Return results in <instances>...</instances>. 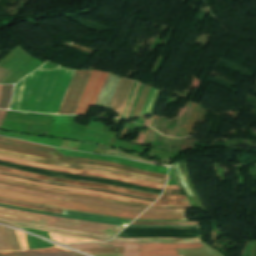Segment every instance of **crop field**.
<instances>
[{
    "mask_svg": "<svg viewBox=\"0 0 256 256\" xmlns=\"http://www.w3.org/2000/svg\"><path fill=\"white\" fill-rule=\"evenodd\" d=\"M38 70V69H37ZM75 70H38L16 84L10 109L58 114ZM91 70H76L59 114H74Z\"/></svg>",
    "mask_w": 256,
    "mask_h": 256,
    "instance_id": "8a807250",
    "label": "crop field"
},
{
    "mask_svg": "<svg viewBox=\"0 0 256 256\" xmlns=\"http://www.w3.org/2000/svg\"><path fill=\"white\" fill-rule=\"evenodd\" d=\"M0 217L30 222V223H35V224H40L45 226L66 228V229H72L76 231L91 232L95 234L108 235V236H114L117 233H119L122 229H124L121 227H116L111 225L92 223V222L73 220V219L50 217L45 215L5 209L1 207H0Z\"/></svg>",
    "mask_w": 256,
    "mask_h": 256,
    "instance_id": "ac0d7876",
    "label": "crop field"
},
{
    "mask_svg": "<svg viewBox=\"0 0 256 256\" xmlns=\"http://www.w3.org/2000/svg\"><path fill=\"white\" fill-rule=\"evenodd\" d=\"M0 149L19 152V153H23V154H27V155L44 157V158L74 162V163L111 167V168H116V169L132 172V173H137V174H142V175H146V176H150V177L160 178V179H164V180H166V178H167V175L149 173V172H145L142 170L122 166L120 164L109 163V162L98 161V160L75 159V158L64 157L55 148L38 145V144H33V143L20 141V140H13V139H7V138L0 137Z\"/></svg>",
    "mask_w": 256,
    "mask_h": 256,
    "instance_id": "34b2d1b8",
    "label": "crop field"
},
{
    "mask_svg": "<svg viewBox=\"0 0 256 256\" xmlns=\"http://www.w3.org/2000/svg\"><path fill=\"white\" fill-rule=\"evenodd\" d=\"M70 246H73L79 249L99 248V247H121L122 254H120V256H140L141 244L93 243V244H75ZM196 247H201V245L200 244H142L141 255L172 253L177 249L196 248ZM80 251H83L89 254L121 253L120 248H100V249H87V250H80ZM148 256H177V252L173 254L148 255ZM180 256H183V255H180Z\"/></svg>",
    "mask_w": 256,
    "mask_h": 256,
    "instance_id": "412701ff",
    "label": "crop field"
},
{
    "mask_svg": "<svg viewBox=\"0 0 256 256\" xmlns=\"http://www.w3.org/2000/svg\"><path fill=\"white\" fill-rule=\"evenodd\" d=\"M0 197L38 203V204H44V205H52V206H57L61 208L97 212V213H103V214H108L112 216L132 218V219H134L136 216L140 214L138 212H129V211L97 207V206L78 204V203H71V202H65V201H59V200L37 198V197L27 196L19 193L4 191L1 189H0Z\"/></svg>",
    "mask_w": 256,
    "mask_h": 256,
    "instance_id": "f4fd0767",
    "label": "crop field"
},
{
    "mask_svg": "<svg viewBox=\"0 0 256 256\" xmlns=\"http://www.w3.org/2000/svg\"><path fill=\"white\" fill-rule=\"evenodd\" d=\"M0 154L1 155H5V156H9V157L29 160V161L36 162V163H46V164H50V165H54V166H59V167L70 168V169L93 170V171L105 172V173L125 176V177L132 178V179H137V180H143V181H147V182L157 183V184H161V185H164L165 182H166V181H163V180L148 178V177H144V176H141V175L127 173V172H123V171H119V170H115V169H110V168L97 167V166H88V165L70 164V163H66V162L50 160V159H44V158L33 157V156H27V155H22V154H18V153H14V152L3 151V150H0Z\"/></svg>",
    "mask_w": 256,
    "mask_h": 256,
    "instance_id": "dd49c442",
    "label": "crop field"
},
{
    "mask_svg": "<svg viewBox=\"0 0 256 256\" xmlns=\"http://www.w3.org/2000/svg\"><path fill=\"white\" fill-rule=\"evenodd\" d=\"M0 171L7 172V173H13V174H17V175H20V176L30 177V178H34V179H38V180L54 182V183H66V184H71V185H76V186H86V187H92V188H98V189H109V190H114V191L130 194V195L140 196V197H147V198L157 199L158 196H159V195H156V194H148V193H143V192L130 190V189H125V188H120V187H115V186L96 184V183H88V182H81V181L65 180V179H59V178L44 176V175L32 174V173L19 171V170H14V169L5 168V167H0Z\"/></svg>",
    "mask_w": 256,
    "mask_h": 256,
    "instance_id": "e52e79f7",
    "label": "crop field"
},
{
    "mask_svg": "<svg viewBox=\"0 0 256 256\" xmlns=\"http://www.w3.org/2000/svg\"><path fill=\"white\" fill-rule=\"evenodd\" d=\"M0 180L14 182V183H18V184L29 185V186L37 187V188L55 190V191L69 192V193L89 195V196H95V197L110 198V199H114V200H118V201L130 202V203L139 204V205H150L152 203V202H148V201H141V200L126 198V197H121V196H115V195H111V194H107V193L74 189V188H63V187H58V186H50V185L30 182V181H26V180H22V179H18V178L5 177V176H1V175H0Z\"/></svg>",
    "mask_w": 256,
    "mask_h": 256,
    "instance_id": "d8731c3e",
    "label": "crop field"
},
{
    "mask_svg": "<svg viewBox=\"0 0 256 256\" xmlns=\"http://www.w3.org/2000/svg\"><path fill=\"white\" fill-rule=\"evenodd\" d=\"M0 160L17 163V164H21V165H26V166H30V167H34V168H41V169H45V170L58 171V172L71 173V174H79V175L97 176V177L125 181V182H129V183H133V184H138V185H143V186L158 188V189L164 188V186H161V185H156V184L147 183V182H143V181L132 180V179H128V178H124V177H120V176L109 175V174H105V173L76 171V170L47 166L44 164H36V163L29 162V161L18 160V159L3 157V156H0Z\"/></svg>",
    "mask_w": 256,
    "mask_h": 256,
    "instance_id": "5a996713",
    "label": "crop field"
},
{
    "mask_svg": "<svg viewBox=\"0 0 256 256\" xmlns=\"http://www.w3.org/2000/svg\"><path fill=\"white\" fill-rule=\"evenodd\" d=\"M0 188L4 189V190L20 192V193L34 195V196H38V197L66 200V201L85 203V204L104 206V207H112V208L124 209V210H129V211L142 212L146 209V208L128 207V206H124V205H120V204L107 203V202H101V201H95V200H88V199H81V198H75V197H69V196L43 193V192H38V191H33V190H28V189H23V188H17V187H13V186H9V185H4V184H0Z\"/></svg>",
    "mask_w": 256,
    "mask_h": 256,
    "instance_id": "3316defc",
    "label": "crop field"
},
{
    "mask_svg": "<svg viewBox=\"0 0 256 256\" xmlns=\"http://www.w3.org/2000/svg\"><path fill=\"white\" fill-rule=\"evenodd\" d=\"M108 73L93 70L87 86L81 96L80 102L75 114L85 115L89 105L94 106L98 93L104 83Z\"/></svg>",
    "mask_w": 256,
    "mask_h": 256,
    "instance_id": "28ad6ade",
    "label": "crop field"
},
{
    "mask_svg": "<svg viewBox=\"0 0 256 256\" xmlns=\"http://www.w3.org/2000/svg\"><path fill=\"white\" fill-rule=\"evenodd\" d=\"M59 151L62 152L64 155L70 156V157L91 158V159H99V160H105L110 162H116V163H120L130 167L139 168V169L150 171V172L162 173V174H167V169H168L167 167H155V166H150V165H146V164H142L139 162L130 161L122 158H113V157H107V156H99V155H92V154L71 152V151H64V150H59Z\"/></svg>",
    "mask_w": 256,
    "mask_h": 256,
    "instance_id": "d1516ede",
    "label": "crop field"
},
{
    "mask_svg": "<svg viewBox=\"0 0 256 256\" xmlns=\"http://www.w3.org/2000/svg\"><path fill=\"white\" fill-rule=\"evenodd\" d=\"M0 221H4V222L10 223V224H13L20 228L45 230V231L57 232V233L66 234V235H70V236H76V237H82V238H88V239H94V240H100V241H106V240H109L112 238V237H108V236H99V235H94V234H90V233L76 232V231H72V230L51 228V227H45V226H40V225H35V224H30V223L12 221V220H7V219H3V218H0Z\"/></svg>",
    "mask_w": 256,
    "mask_h": 256,
    "instance_id": "22f410ed",
    "label": "crop field"
},
{
    "mask_svg": "<svg viewBox=\"0 0 256 256\" xmlns=\"http://www.w3.org/2000/svg\"><path fill=\"white\" fill-rule=\"evenodd\" d=\"M15 232L20 244V250L0 251V256L38 255V254H49V253L70 251L62 247L56 246L54 244H53L54 248L28 250L25 234L18 230H15Z\"/></svg>",
    "mask_w": 256,
    "mask_h": 256,
    "instance_id": "cbeb9de0",
    "label": "crop field"
},
{
    "mask_svg": "<svg viewBox=\"0 0 256 256\" xmlns=\"http://www.w3.org/2000/svg\"><path fill=\"white\" fill-rule=\"evenodd\" d=\"M121 80V77L109 73L95 105L103 107L104 104H107L110 108Z\"/></svg>",
    "mask_w": 256,
    "mask_h": 256,
    "instance_id": "5142ce71",
    "label": "crop field"
},
{
    "mask_svg": "<svg viewBox=\"0 0 256 256\" xmlns=\"http://www.w3.org/2000/svg\"><path fill=\"white\" fill-rule=\"evenodd\" d=\"M134 81L124 78L113 101L110 109L118 114L117 118H120L121 113L124 109L125 103L127 101L128 95L132 88Z\"/></svg>",
    "mask_w": 256,
    "mask_h": 256,
    "instance_id": "d9b57169",
    "label": "crop field"
},
{
    "mask_svg": "<svg viewBox=\"0 0 256 256\" xmlns=\"http://www.w3.org/2000/svg\"><path fill=\"white\" fill-rule=\"evenodd\" d=\"M111 242H155V243H200L199 239H167V238H113Z\"/></svg>",
    "mask_w": 256,
    "mask_h": 256,
    "instance_id": "733c2abd",
    "label": "crop field"
},
{
    "mask_svg": "<svg viewBox=\"0 0 256 256\" xmlns=\"http://www.w3.org/2000/svg\"><path fill=\"white\" fill-rule=\"evenodd\" d=\"M0 183L9 184V185L18 186V187H23V188H28V189H33V190H38V191H43V192L62 194V195H69V196L82 197V198H88V199H95V200H101V201H107V202L121 203V204L129 205V206L146 207V208H148V206L133 205V204L118 202V201H114V200H110V199L95 198V197H89V196H82V195H75V194H68V193H60V192L41 190V189H36V188L29 187V186L18 185V184L9 183V182H3V181H0Z\"/></svg>",
    "mask_w": 256,
    "mask_h": 256,
    "instance_id": "4a817a6b",
    "label": "crop field"
},
{
    "mask_svg": "<svg viewBox=\"0 0 256 256\" xmlns=\"http://www.w3.org/2000/svg\"><path fill=\"white\" fill-rule=\"evenodd\" d=\"M137 219L187 220L185 214H145V213L140 215Z\"/></svg>",
    "mask_w": 256,
    "mask_h": 256,
    "instance_id": "bc2a9ffb",
    "label": "crop field"
},
{
    "mask_svg": "<svg viewBox=\"0 0 256 256\" xmlns=\"http://www.w3.org/2000/svg\"><path fill=\"white\" fill-rule=\"evenodd\" d=\"M48 233H49V236L52 240L60 242L62 244L97 242V241H94V240H87V239L69 237V236L59 235V234L50 233V232H48Z\"/></svg>",
    "mask_w": 256,
    "mask_h": 256,
    "instance_id": "214f88e0",
    "label": "crop field"
},
{
    "mask_svg": "<svg viewBox=\"0 0 256 256\" xmlns=\"http://www.w3.org/2000/svg\"><path fill=\"white\" fill-rule=\"evenodd\" d=\"M156 204H189L185 196L162 195Z\"/></svg>",
    "mask_w": 256,
    "mask_h": 256,
    "instance_id": "92a150f3",
    "label": "crop field"
},
{
    "mask_svg": "<svg viewBox=\"0 0 256 256\" xmlns=\"http://www.w3.org/2000/svg\"><path fill=\"white\" fill-rule=\"evenodd\" d=\"M0 204H6V205L17 206V207L28 208V209L39 210V211H45V212H52V213H59V214L62 213V210H55V209H50V208L41 207V206L26 205V204H21V203L5 201V200H1V199H0Z\"/></svg>",
    "mask_w": 256,
    "mask_h": 256,
    "instance_id": "dafd665d",
    "label": "crop field"
},
{
    "mask_svg": "<svg viewBox=\"0 0 256 256\" xmlns=\"http://www.w3.org/2000/svg\"><path fill=\"white\" fill-rule=\"evenodd\" d=\"M0 174H2V175H7V176H12V177H18V178H22V179H26V180H32V181L41 182V183H45V184L59 185V186H64V187L82 188V187L70 186V185H65V184H54V183H48V182L38 181V180H34V179H30V178H25V177H20V176L12 175V174H6V173H2V172H0ZM82 189H88V190H94V191L107 192V193H112V194H116V195L127 196V197L136 198V199H142V200L155 201L154 199H147V198L134 197V196L124 195V194H119V193H114V192H109V191H103V190H97V189H89V188H82Z\"/></svg>",
    "mask_w": 256,
    "mask_h": 256,
    "instance_id": "00972430",
    "label": "crop field"
},
{
    "mask_svg": "<svg viewBox=\"0 0 256 256\" xmlns=\"http://www.w3.org/2000/svg\"><path fill=\"white\" fill-rule=\"evenodd\" d=\"M13 90V85H6L2 87L1 97H0V108L1 109H7L8 104L11 99Z\"/></svg>",
    "mask_w": 256,
    "mask_h": 256,
    "instance_id": "a9b5d70f",
    "label": "crop field"
},
{
    "mask_svg": "<svg viewBox=\"0 0 256 256\" xmlns=\"http://www.w3.org/2000/svg\"><path fill=\"white\" fill-rule=\"evenodd\" d=\"M0 206H2V207H7V208H11V209H17V210H24V211H30V212H37V213H42V214H45V215H51V216H57V217H65V218H73V219H80V220L93 221V222H101V223L113 224V225H118V226H123V227H126V226H127V225H125V224H118V223H112V222H106V221L91 220V219H83V218H76V217H70V216H64V215H58V214L44 213V212L33 211V210H27V209L16 208V207L5 206V205H0Z\"/></svg>",
    "mask_w": 256,
    "mask_h": 256,
    "instance_id": "4177f3b9",
    "label": "crop field"
},
{
    "mask_svg": "<svg viewBox=\"0 0 256 256\" xmlns=\"http://www.w3.org/2000/svg\"><path fill=\"white\" fill-rule=\"evenodd\" d=\"M133 225H198V222H136Z\"/></svg>",
    "mask_w": 256,
    "mask_h": 256,
    "instance_id": "730fd06b",
    "label": "crop field"
},
{
    "mask_svg": "<svg viewBox=\"0 0 256 256\" xmlns=\"http://www.w3.org/2000/svg\"><path fill=\"white\" fill-rule=\"evenodd\" d=\"M149 88H150L149 86H146V85L143 86V89H142V91L140 93V96L138 98L137 106H136V109L134 111L133 116H138L139 115L140 110H141L142 105H143V102H144V99L147 95V92H148Z\"/></svg>",
    "mask_w": 256,
    "mask_h": 256,
    "instance_id": "eef30255",
    "label": "crop field"
},
{
    "mask_svg": "<svg viewBox=\"0 0 256 256\" xmlns=\"http://www.w3.org/2000/svg\"><path fill=\"white\" fill-rule=\"evenodd\" d=\"M4 227L6 229V232H7L8 236H9L12 248L13 249H19L18 241H17L14 230L10 227H7V226H4Z\"/></svg>",
    "mask_w": 256,
    "mask_h": 256,
    "instance_id": "ae1a2a85",
    "label": "crop field"
},
{
    "mask_svg": "<svg viewBox=\"0 0 256 256\" xmlns=\"http://www.w3.org/2000/svg\"><path fill=\"white\" fill-rule=\"evenodd\" d=\"M127 227H140V228H198V226H132Z\"/></svg>",
    "mask_w": 256,
    "mask_h": 256,
    "instance_id": "d3111659",
    "label": "crop field"
},
{
    "mask_svg": "<svg viewBox=\"0 0 256 256\" xmlns=\"http://www.w3.org/2000/svg\"><path fill=\"white\" fill-rule=\"evenodd\" d=\"M186 209L183 210H159V209H147L144 212L150 213H185Z\"/></svg>",
    "mask_w": 256,
    "mask_h": 256,
    "instance_id": "750c4746",
    "label": "crop field"
},
{
    "mask_svg": "<svg viewBox=\"0 0 256 256\" xmlns=\"http://www.w3.org/2000/svg\"><path fill=\"white\" fill-rule=\"evenodd\" d=\"M11 74L10 71L0 67V83Z\"/></svg>",
    "mask_w": 256,
    "mask_h": 256,
    "instance_id": "bd1437ed",
    "label": "crop field"
},
{
    "mask_svg": "<svg viewBox=\"0 0 256 256\" xmlns=\"http://www.w3.org/2000/svg\"><path fill=\"white\" fill-rule=\"evenodd\" d=\"M72 253H75L73 251H71ZM70 252H65V253H57V254H49V255H39V256H77L75 254H78V253H75V254H72ZM80 256H84V255H81V254H78Z\"/></svg>",
    "mask_w": 256,
    "mask_h": 256,
    "instance_id": "1d83c4d3",
    "label": "crop field"
},
{
    "mask_svg": "<svg viewBox=\"0 0 256 256\" xmlns=\"http://www.w3.org/2000/svg\"><path fill=\"white\" fill-rule=\"evenodd\" d=\"M0 232H1L2 236H3V238H4V241L6 243L7 249H12L11 246H10V243H9L8 236H7V234H6V232H5L3 227H0Z\"/></svg>",
    "mask_w": 256,
    "mask_h": 256,
    "instance_id": "120bbe31",
    "label": "crop field"
},
{
    "mask_svg": "<svg viewBox=\"0 0 256 256\" xmlns=\"http://www.w3.org/2000/svg\"><path fill=\"white\" fill-rule=\"evenodd\" d=\"M139 85H140V83L138 82V83H137V85H136V88H135V90H134V93H133V95H132V99H131V103H130L129 110H128V112H127V114H126L125 118H124L125 120L127 119V116H128V114H129V111H130L131 105H132V103H133V100H134V98H135V94H136V91H137V89H138Z\"/></svg>",
    "mask_w": 256,
    "mask_h": 256,
    "instance_id": "d32e631a",
    "label": "crop field"
},
{
    "mask_svg": "<svg viewBox=\"0 0 256 256\" xmlns=\"http://www.w3.org/2000/svg\"><path fill=\"white\" fill-rule=\"evenodd\" d=\"M163 194L183 195L180 191H174V190H164Z\"/></svg>",
    "mask_w": 256,
    "mask_h": 256,
    "instance_id": "5866460e",
    "label": "crop field"
},
{
    "mask_svg": "<svg viewBox=\"0 0 256 256\" xmlns=\"http://www.w3.org/2000/svg\"><path fill=\"white\" fill-rule=\"evenodd\" d=\"M149 208H160V209H182V208H192V207H153V206H150Z\"/></svg>",
    "mask_w": 256,
    "mask_h": 256,
    "instance_id": "028f5c9d",
    "label": "crop field"
},
{
    "mask_svg": "<svg viewBox=\"0 0 256 256\" xmlns=\"http://www.w3.org/2000/svg\"><path fill=\"white\" fill-rule=\"evenodd\" d=\"M6 112L7 111L0 110V128H1L2 122H3L4 118H5Z\"/></svg>",
    "mask_w": 256,
    "mask_h": 256,
    "instance_id": "e1f06a70",
    "label": "crop field"
},
{
    "mask_svg": "<svg viewBox=\"0 0 256 256\" xmlns=\"http://www.w3.org/2000/svg\"><path fill=\"white\" fill-rule=\"evenodd\" d=\"M3 199V198H2ZM8 200V199H7ZM13 201V200H12ZM16 202H19V201H16ZM21 203H25V202H21ZM26 204H32V203H26ZM33 205H38V204H33ZM41 206H44V205H41ZM49 207V206H47ZM52 208H55V207H52ZM56 209H61V208H56ZM65 210H68V209H65ZM69 211H76V210H69ZM76 212H83V211H76ZM85 213H88V212H85ZM94 214V213H92ZM99 215V214H98ZM104 216V215H103ZM110 217V216H108ZM118 218V217H117ZM121 219H125V218H121ZM131 220V219H130Z\"/></svg>",
    "mask_w": 256,
    "mask_h": 256,
    "instance_id": "0bd39190",
    "label": "crop field"
},
{
    "mask_svg": "<svg viewBox=\"0 0 256 256\" xmlns=\"http://www.w3.org/2000/svg\"><path fill=\"white\" fill-rule=\"evenodd\" d=\"M0 250H7L1 234H0Z\"/></svg>",
    "mask_w": 256,
    "mask_h": 256,
    "instance_id": "b80d0937",
    "label": "crop field"
},
{
    "mask_svg": "<svg viewBox=\"0 0 256 256\" xmlns=\"http://www.w3.org/2000/svg\"><path fill=\"white\" fill-rule=\"evenodd\" d=\"M165 189H180L178 186H166Z\"/></svg>",
    "mask_w": 256,
    "mask_h": 256,
    "instance_id": "c035e120",
    "label": "crop field"
},
{
    "mask_svg": "<svg viewBox=\"0 0 256 256\" xmlns=\"http://www.w3.org/2000/svg\"><path fill=\"white\" fill-rule=\"evenodd\" d=\"M154 206H190V205H155L153 204Z\"/></svg>",
    "mask_w": 256,
    "mask_h": 256,
    "instance_id": "c21b1889",
    "label": "crop field"
},
{
    "mask_svg": "<svg viewBox=\"0 0 256 256\" xmlns=\"http://www.w3.org/2000/svg\"><path fill=\"white\" fill-rule=\"evenodd\" d=\"M1 87H2V85H0V91H1Z\"/></svg>",
    "mask_w": 256,
    "mask_h": 256,
    "instance_id": "03da06ac",
    "label": "crop field"
}]
</instances>
